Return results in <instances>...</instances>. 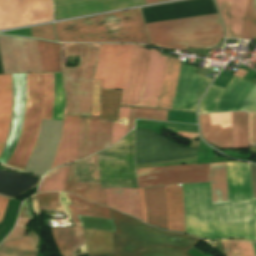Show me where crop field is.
Instances as JSON below:
<instances>
[{
    "instance_id": "obj_23",
    "label": "crop field",
    "mask_w": 256,
    "mask_h": 256,
    "mask_svg": "<svg viewBox=\"0 0 256 256\" xmlns=\"http://www.w3.org/2000/svg\"><path fill=\"white\" fill-rule=\"evenodd\" d=\"M106 206L141 219L137 189H105Z\"/></svg>"
},
{
    "instance_id": "obj_28",
    "label": "crop field",
    "mask_w": 256,
    "mask_h": 256,
    "mask_svg": "<svg viewBox=\"0 0 256 256\" xmlns=\"http://www.w3.org/2000/svg\"><path fill=\"white\" fill-rule=\"evenodd\" d=\"M51 234L61 256H71L70 250L85 242L81 228H52Z\"/></svg>"
},
{
    "instance_id": "obj_1",
    "label": "crop field",
    "mask_w": 256,
    "mask_h": 256,
    "mask_svg": "<svg viewBox=\"0 0 256 256\" xmlns=\"http://www.w3.org/2000/svg\"><path fill=\"white\" fill-rule=\"evenodd\" d=\"M186 233L254 240L252 202L211 205L209 183L182 185Z\"/></svg>"
},
{
    "instance_id": "obj_57",
    "label": "crop field",
    "mask_w": 256,
    "mask_h": 256,
    "mask_svg": "<svg viewBox=\"0 0 256 256\" xmlns=\"http://www.w3.org/2000/svg\"><path fill=\"white\" fill-rule=\"evenodd\" d=\"M147 4L157 2L158 0H145Z\"/></svg>"
},
{
    "instance_id": "obj_29",
    "label": "crop field",
    "mask_w": 256,
    "mask_h": 256,
    "mask_svg": "<svg viewBox=\"0 0 256 256\" xmlns=\"http://www.w3.org/2000/svg\"><path fill=\"white\" fill-rule=\"evenodd\" d=\"M75 163L69 166V176L64 191L77 194L85 199L105 206L104 189L100 184L73 183Z\"/></svg>"
},
{
    "instance_id": "obj_13",
    "label": "crop field",
    "mask_w": 256,
    "mask_h": 256,
    "mask_svg": "<svg viewBox=\"0 0 256 256\" xmlns=\"http://www.w3.org/2000/svg\"><path fill=\"white\" fill-rule=\"evenodd\" d=\"M211 79L196 74V67L181 63L172 109L195 111Z\"/></svg>"
},
{
    "instance_id": "obj_58",
    "label": "crop field",
    "mask_w": 256,
    "mask_h": 256,
    "mask_svg": "<svg viewBox=\"0 0 256 256\" xmlns=\"http://www.w3.org/2000/svg\"><path fill=\"white\" fill-rule=\"evenodd\" d=\"M253 244V248H254V251H255V255H256V244L252 243Z\"/></svg>"
},
{
    "instance_id": "obj_37",
    "label": "crop field",
    "mask_w": 256,
    "mask_h": 256,
    "mask_svg": "<svg viewBox=\"0 0 256 256\" xmlns=\"http://www.w3.org/2000/svg\"><path fill=\"white\" fill-rule=\"evenodd\" d=\"M122 91L101 89V119L116 120Z\"/></svg>"
},
{
    "instance_id": "obj_9",
    "label": "crop field",
    "mask_w": 256,
    "mask_h": 256,
    "mask_svg": "<svg viewBox=\"0 0 256 256\" xmlns=\"http://www.w3.org/2000/svg\"><path fill=\"white\" fill-rule=\"evenodd\" d=\"M136 164L185 159L197 155L198 148L180 147L151 130H135Z\"/></svg>"
},
{
    "instance_id": "obj_5",
    "label": "crop field",
    "mask_w": 256,
    "mask_h": 256,
    "mask_svg": "<svg viewBox=\"0 0 256 256\" xmlns=\"http://www.w3.org/2000/svg\"><path fill=\"white\" fill-rule=\"evenodd\" d=\"M53 98L54 73H27L23 129L7 165L24 170L40 133L41 119L52 117Z\"/></svg>"
},
{
    "instance_id": "obj_22",
    "label": "crop field",
    "mask_w": 256,
    "mask_h": 256,
    "mask_svg": "<svg viewBox=\"0 0 256 256\" xmlns=\"http://www.w3.org/2000/svg\"><path fill=\"white\" fill-rule=\"evenodd\" d=\"M148 223L167 230L164 187L144 188Z\"/></svg>"
},
{
    "instance_id": "obj_8",
    "label": "crop field",
    "mask_w": 256,
    "mask_h": 256,
    "mask_svg": "<svg viewBox=\"0 0 256 256\" xmlns=\"http://www.w3.org/2000/svg\"><path fill=\"white\" fill-rule=\"evenodd\" d=\"M102 188H137L133 161V131L113 147L98 153Z\"/></svg>"
},
{
    "instance_id": "obj_21",
    "label": "crop field",
    "mask_w": 256,
    "mask_h": 256,
    "mask_svg": "<svg viewBox=\"0 0 256 256\" xmlns=\"http://www.w3.org/2000/svg\"><path fill=\"white\" fill-rule=\"evenodd\" d=\"M255 83L235 77L217 101L215 112L240 110L241 103Z\"/></svg>"
},
{
    "instance_id": "obj_16",
    "label": "crop field",
    "mask_w": 256,
    "mask_h": 256,
    "mask_svg": "<svg viewBox=\"0 0 256 256\" xmlns=\"http://www.w3.org/2000/svg\"><path fill=\"white\" fill-rule=\"evenodd\" d=\"M229 203L253 201L256 240V199H252L251 174L248 164L226 163Z\"/></svg>"
},
{
    "instance_id": "obj_18",
    "label": "crop field",
    "mask_w": 256,
    "mask_h": 256,
    "mask_svg": "<svg viewBox=\"0 0 256 256\" xmlns=\"http://www.w3.org/2000/svg\"><path fill=\"white\" fill-rule=\"evenodd\" d=\"M81 116H65L60 144L49 170L78 160Z\"/></svg>"
},
{
    "instance_id": "obj_10",
    "label": "crop field",
    "mask_w": 256,
    "mask_h": 256,
    "mask_svg": "<svg viewBox=\"0 0 256 256\" xmlns=\"http://www.w3.org/2000/svg\"><path fill=\"white\" fill-rule=\"evenodd\" d=\"M0 52L4 73L41 72L35 39L0 36Z\"/></svg>"
},
{
    "instance_id": "obj_43",
    "label": "crop field",
    "mask_w": 256,
    "mask_h": 256,
    "mask_svg": "<svg viewBox=\"0 0 256 256\" xmlns=\"http://www.w3.org/2000/svg\"><path fill=\"white\" fill-rule=\"evenodd\" d=\"M166 115H167V111H164V110L133 108L130 115L129 128H134L135 118L166 120Z\"/></svg>"
},
{
    "instance_id": "obj_27",
    "label": "crop field",
    "mask_w": 256,
    "mask_h": 256,
    "mask_svg": "<svg viewBox=\"0 0 256 256\" xmlns=\"http://www.w3.org/2000/svg\"><path fill=\"white\" fill-rule=\"evenodd\" d=\"M41 241L32 231L23 238L7 241L0 245V256H35Z\"/></svg>"
},
{
    "instance_id": "obj_20",
    "label": "crop field",
    "mask_w": 256,
    "mask_h": 256,
    "mask_svg": "<svg viewBox=\"0 0 256 256\" xmlns=\"http://www.w3.org/2000/svg\"><path fill=\"white\" fill-rule=\"evenodd\" d=\"M222 15L227 38L240 39L248 0H216Z\"/></svg>"
},
{
    "instance_id": "obj_12",
    "label": "crop field",
    "mask_w": 256,
    "mask_h": 256,
    "mask_svg": "<svg viewBox=\"0 0 256 256\" xmlns=\"http://www.w3.org/2000/svg\"><path fill=\"white\" fill-rule=\"evenodd\" d=\"M52 19L51 0H0V29Z\"/></svg>"
},
{
    "instance_id": "obj_7",
    "label": "crop field",
    "mask_w": 256,
    "mask_h": 256,
    "mask_svg": "<svg viewBox=\"0 0 256 256\" xmlns=\"http://www.w3.org/2000/svg\"><path fill=\"white\" fill-rule=\"evenodd\" d=\"M99 44H65V55L79 56L74 68L62 67L66 115H90L92 77Z\"/></svg>"
},
{
    "instance_id": "obj_24",
    "label": "crop field",
    "mask_w": 256,
    "mask_h": 256,
    "mask_svg": "<svg viewBox=\"0 0 256 256\" xmlns=\"http://www.w3.org/2000/svg\"><path fill=\"white\" fill-rule=\"evenodd\" d=\"M12 77L0 75V153L4 147L11 120Z\"/></svg>"
},
{
    "instance_id": "obj_52",
    "label": "crop field",
    "mask_w": 256,
    "mask_h": 256,
    "mask_svg": "<svg viewBox=\"0 0 256 256\" xmlns=\"http://www.w3.org/2000/svg\"><path fill=\"white\" fill-rule=\"evenodd\" d=\"M19 217L33 218L32 213L30 212L29 199H27L25 201V203L20 211Z\"/></svg>"
},
{
    "instance_id": "obj_6",
    "label": "crop field",
    "mask_w": 256,
    "mask_h": 256,
    "mask_svg": "<svg viewBox=\"0 0 256 256\" xmlns=\"http://www.w3.org/2000/svg\"><path fill=\"white\" fill-rule=\"evenodd\" d=\"M148 36L197 31L222 27L219 15L170 20L145 24ZM222 38V28L149 38L151 45L186 50L188 46H212Z\"/></svg>"
},
{
    "instance_id": "obj_39",
    "label": "crop field",
    "mask_w": 256,
    "mask_h": 256,
    "mask_svg": "<svg viewBox=\"0 0 256 256\" xmlns=\"http://www.w3.org/2000/svg\"><path fill=\"white\" fill-rule=\"evenodd\" d=\"M132 108L120 106L117 121L112 124V144L128 132V119Z\"/></svg>"
},
{
    "instance_id": "obj_51",
    "label": "crop field",
    "mask_w": 256,
    "mask_h": 256,
    "mask_svg": "<svg viewBox=\"0 0 256 256\" xmlns=\"http://www.w3.org/2000/svg\"><path fill=\"white\" fill-rule=\"evenodd\" d=\"M90 116L86 117L85 131H84V149L83 157H87V141H88V128H89Z\"/></svg>"
},
{
    "instance_id": "obj_34",
    "label": "crop field",
    "mask_w": 256,
    "mask_h": 256,
    "mask_svg": "<svg viewBox=\"0 0 256 256\" xmlns=\"http://www.w3.org/2000/svg\"><path fill=\"white\" fill-rule=\"evenodd\" d=\"M232 149L248 148L247 112L231 113Z\"/></svg>"
},
{
    "instance_id": "obj_44",
    "label": "crop field",
    "mask_w": 256,
    "mask_h": 256,
    "mask_svg": "<svg viewBox=\"0 0 256 256\" xmlns=\"http://www.w3.org/2000/svg\"><path fill=\"white\" fill-rule=\"evenodd\" d=\"M64 92L61 82V74L55 73V102L52 120H62Z\"/></svg>"
},
{
    "instance_id": "obj_55",
    "label": "crop field",
    "mask_w": 256,
    "mask_h": 256,
    "mask_svg": "<svg viewBox=\"0 0 256 256\" xmlns=\"http://www.w3.org/2000/svg\"><path fill=\"white\" fill-rule=\"evenodd\" d=\"M85 117H86V116H82L81 132H80L79 160L83 158V157H82V148H83V131H84Z\"/></svg>"
},
{
    "instance_id": "obj_46",
    "label": "crop field",
    "mask_w": 256,
    "mask_h": 256,
    "mask_svg": "<svg viewBox=\"0 0 256 256\" xmlns=\"http://www.w3.org/2000/svg\"><path fill=\"white\" fill-rule=\"evenodd\" d=\"M29 29L31 35L34 37L56 41L52 24L41 27H33Z\"/></svg>"
},
{
    "instance_id": "obj_50",
    "label": "crop field",
    "mask_w": 256,
    "mask_h": 256,
    "mask_svg": "<svg viewBox=\"0 0 256 256\" xmlns=\"http://www.w3.org/2000/svg\"><path fill=\"white\" fill-rule=\"evenodd\" d=\"M27 230H28V228L15 226L14 230L11 232V234L4 241L9 240V239H13V238H16V237H20V236H25Z\"/></svg>"
},
{
    "instance_id": "obj_15",
    "label": "crop field",
    "mask_w": 256,
    "mask_h": 256,
    "mask_svg": "<svg viewBox=\"0 0 256 256\" xmlns=\"http://www.w3.org/2000/svg\"><path fill=\"white\" fill-rule=\"evenodd\" d=\"M13 77V106L12 120L5 148L0 156V162L6 164L11 156L22 128L25 109L26 73L12 74Z\"/></svg>"
},
{
    "instance_id": "obj_49",
    "label": "crop field",
    "mask_w": 256,
    "mask_h": 256,
    "mask_svg": "<svg viewBox=\"0 0 256 256\" xmlns=\"http://www.w3.org/2000/svg\"><path fill=\"white\" fill-rule=\"evenodd\" d=\"M250 143L256 144V113H249Z\"/></svg>"
},
{
    "instance_id": "obj_3",
    "label": "crop field",
    "mask_w": 256,
    "mask_h": 256,
    "mask_svg": "<svg viewBox=\"0 0 256 256\" xmlns=\"http://www.w3.org/2000/svg\"><path fill=\"white\" fill-rule=\"evenodd\" d=\"M133 45L101 44L95 77L101 88L122 90ZM149 51L134 45L120 105L138 106Z\"/></svg>"
},
{
    "instance_id": "obj_38",
    "label": "crop field",
    "mask_w": 256,
    "mask_h": 256,
    "mask_svg": "<svg viewBox=\"0 0 256 256\" xmlns=\"http://www.w3.org/2000/svg\"><path fill=\"white\" fill-rule=\"evenodd\" d=\"M68 166L55 168L49 171L43 178L39 191L64 190L68 176Z\"/></svg>"
},
{
    "instance_id": "obj_59",
    "label": "crop field",
    "mask_w": 256,
    "mask_h": 256,
    "mask_svg": "<svg viewBox=\"0 0 256 256\" xmlns=\"http://www.w3.org/2000/svg\"><path fill=\"white\" fill-rule=\"evenodd\" d=\"M159 1H165V0H159Z\"/></svg>"
},
{
    "instance_id": "obj_35",
    "label": "crop field",
    "mask_w": 256,
    "mask_h": 256,
    "mask_svg": "<svg viewBox=\"0 0 256 256\" xmlns=\"http://www.w3.org/2000/svg\"><path fill=\"white\" fill-rule=\"evenodd\" d=\"M74 182L100 183L97 153L76 163Z\"/></svg>"
},
{
    "instance_id": "obj_30",
    "label": "crop field",
    "mask_w": 256,
    "mask_h": 256,
    "mask_svg": "<svg viewBox=\"0 0 256 256\" xmlns=\"http://www.w3.org/2000/svg\"><path fill=\"white\" fill-rule=\"evenodd\" d=\"M179 64L180 61L177 58L168 57L158 108L171 109L172 107Z\"/></svg>"
},
{
    "instance_id": "obj_42",
    "label": "crop field",
    "mask_w": 256,
    "mask_h": 256,
    "mask_svg": "<svg viewBox=\"0 0 256 256\" xmlns=\"http://www.w3.org/2000/svg\"><path fill=\"white\" fill-rule=\"evenodd\" d=\"M255 37H256V0H249L241 39H255Z\"/></svg>"
},
{
    "instance_id": "obj_11",
    "label": "crop field",
    "mask_w": 256,
    "mask_h": 256,
    "mask_svg": "<svg viewBox=\"0 0 256 256\" xmlns=\"http://www.w3.org/2000/svg\"><path fill=\"white\" fill-rule=\"evenodd\" d=\"M139 187L209 182L208 164L136 170Z\"/></svg>"
},
{
    "instance_id": "obj_32",
    "label": "crop field",
    "mask_w": 256,
    "mask_h": 256,
    "mask_svg": "<svg viewBox=\"0 0 256 256\" xmlns=\"http://www.w3.org/2000/svg\"><path fill=\"white\" fill-rule=\"evenodd\" d=\"M212 204L228 203L225 163L209 164Z\"/></svg>"
},
{
    "instance_id": "obj_25",
    "label": "crop field",
    "mask_w": 256,
    "mask_h": 256,
    "mask_svg": "<svg viewBox=\"0 0 256 256\" xmlns=\"http://www.w3.org/2000/svg\"><path fill=\"white\" fill-rule=\"evenodd\" d=\"M168 230L185 233L181 186H165Z\"/></svg>"
},
{
    "instance_id": "obj_48",
    "label": "crop field",
    "mask_w": 256,
    "mask_h": 256,
    "mask_svg": "<svg viewBox=\"0 0 256 256\" xmlns=\"http://www.w3.org/2000/svg\"><path fill=\"white\" fill-rule=\"evenodd\" d=\"M241 110L256 112V87L250 92V94L242 103Z\"/></svg>"
},
{
    "instance_id": "obj_40",
    "label": "crop field",
    "mask_w": 256,
    "mask_h": 256,
    "mask_svg": "<svg viewBox=\"0 0 256 256\" xmlns=\"http://www.w3.org/2000/svg\"><path fill=\"white\" fill-rule=\"evenodd\" d=\"M32 205L33 210L38 212L36 209V204L38 200V204L40 209H50V210H58L63 211L60 203H59V193H47V194H38L36 196H32ZM64 212V211H63Z\"/></svg>"
},
{
    "instance_id": "obj_47",
    "label": "crop field",
    "mask_w": 256,
    "mask_h": 256,
    "mask_svg": "<svg viewBox=\"0 0 256 256\" xmlns=\"http://www.w3.org/2000/svg\"><path fill=\"white\" fill-rule=\"evenodd\" d=\"M100 85L101 82L93 80L92 111L91 115L99 116L100 110Z\"/></svg>"
},
{
    "instance_id": "obj_56",
    "label": "crop field",
    "mask_w": 256,
    "mask_h": 256,
    "mask_svg": "<svg viewBox=\"0 0 256 256\" xmlns=\"http://www.w3.org/2000/svg\"><path fill=\"white\" fill-rule=\"evenodd\" d=\"M8 200H9L8 198L0 196V222L2 220L3 213L6 208Z\"/></svg>"
},
{
    "instance_id": "obj_33",
    "label": "crop field",
    "mask_w": 256,
    "mask_h": 256,
    "mask_svg": "<svg viewBox=\"0 0 256 256\" xmlns=\"http://www.w3.org/2000/svg\"><path fill=\"white\" fill-rule=\"evenodd\" d=\"M83 230L90 254L113 252L111 232L88 229Z\"/></svg>"
},
{
    "instance_id": "obj_19",
    "label": "crop field",
    "mask_w": 256,
    "mask_h": 256,
    "mask_svg": "<svg viewBox=\"0 0 256 256\" xmlns=\"http://www.w3.org/2000/svg\"><path fill=\"white\" fill-rule=\"evenodd\" d=\"M199 121L204 139L231 149L230 113L199 115Z\"/></svg>"
},
{
    "instance_id": "obj_31",
    "label": "crop field",
    "mask_w": 256,
    "mask_h": 256,
    "mask_svg": "<svg viewBox=\"0 0 256 256\" xmlns=\"http://www.w3.org/2000/svg\"><path fill=\"white\" fill-rule=\"evenodd\" d=\"M36 41L42 72L61 73L60 44L38 39Z\"/></svg>"
},
{
    "instance_id": "obj_2",
    "label": "crop field",
    "mask_w": 256,
    "mask_h": 256,
    "mask_svg": "<svg viewBox=\"0 0 256 256\" xmlns=\"http://www.w3.org/2000/svg\"><path fill=\"white\" fill-rule=\"evenodd\" d=\"M111 215L116 229L112 232L114 253L90 256H189L186 252L200 241L148 226L115 210Z\"/></svg>"
},
{
    "instance_id": "obj_17",
    "label": "crop field",
    "mask_w": 256,
    "mask_h": 256,
    "mask_svg": "<svg viewBox=\"0 0 256 256\" xmlns=\"http://www.w3.org/2000/svg\"><path fill=\"white\" fill-rule=\"evenodd\" d=\"M166 59L151 48L140 106L157 108Z\"/></svg>"
},
{
    "instance_id": "obj_26",
    "label": "crop field",
    "mask_w": 256,
    "mask_h": 256,
    "mask_svg": "<svg viewBox=\"0 0 256 256\" xmlns=\"http://www.w3.org/2000/svg\"><path fill=\"white\" fill-rule=\"evenodd\" d=\"M111 124V121L100 120L99 117L91 116L88 156L111 146Z\"/></svg>"
},
{
    "instance_id": "obj_45",
    "label": "crop field",
    "mask_w": 256,
    "mask_h": 256,
    "mask_svg": "<svg viewBox=\"0 0 256 256\" xmlns=\"http://www.w3.org/2000/svg\"><path fill=\"white\" fill-rule=\"evenodd\" d=\"M223 90L224 88L211 85L200 105V113L214 112L217 98L223 92Z\"/></svg>"
},
{
    "instance_id": "obj_4",
    "label": "crop field",
    "mask_w": 256,
    "mask_h": 256,
    "mask_svg": "<svg viewBox=\"0 0 256 256\" xmlns=\"http://www.w3.org/2000/svg\"><path fill=\"white\" fill-rule=\"evenodd\" d=\"M58 41L149 44L140 10H130L54 24Z\"/></svg>"
},
{
    "instance_id": "obj_41",
    "label": "crop field",
    "mask_w": 256,
    "mask_h": 256,
    "mask_svg": "<svg viewBox=\"0 0 256 256\" xmlns=\"http://www.w3.org/2000/svg\"><path fill=\"white\" fill-rule=\"evenodd\" d=\"M222 243L227 256H255L250 242L227 240Z\"/></svg>"
},
{
    "instance_id": "obj_54",
    "label": "crop field",
    "mask_w": 256,
    "mask_h": 256,
    "mask_svg": "<svg viewBox=\"0 0 256 256\" xmlns=\"http://www.w3.org/2000/svg\"><path fill=\"white\" fill-rule=\"evenodd\" d=\"M252 174L253 198H256V165L250 164Z\"/></svg>"
},
{
    "instance_id": "obj_14",
    "label": "crop field",
    "mask_w": 256,
    "mask_h": 256,
    "mask_svg": "<svg viewBox=\"0 0 256 256\" xmlns=\"http://www.w3.org/2000/svg\"><path fill=\"white\" fill-rule=\"evenodd\" d=\"M61 124L62 121L43 120L41 133L25 171L44 174L59 141Z\"/></svg>"
},
{
    "instance_id": "obj_36",
    "label": "crop field",
    "mask_w": 256,
    "mask_h": 256,
    "mask_svg": "<svg viewBox=\"0 0 256 256\" xmlns=\"http://www.w3.org/2000/svg\"><path fill=\"white\" fill-rule=\"evenodd\" d=\"M66 201L73 204L78 213L100 218L112 219L109 208L84 201L71 194L63 193Z\"/></svg>"
},
{
    "instance_id": "obj_53",
    "label": "crop field",
    "mask_w": 256,
    "mask_h": 256,
    "mask_svg": "<svg viewBox=\"0 0 256 256\" xmlns=\"http://www.w3.org/2000/svg\"><path fill=\"white\" fill-rule=\"evenodd\" d=\"M141 202L142 220L147 222L143 189H138Z\"/></svg>"
}]
</instances>
